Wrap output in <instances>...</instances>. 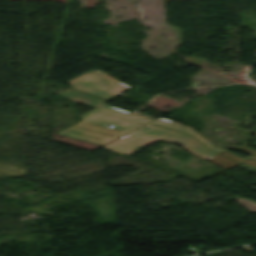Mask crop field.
Masks as SVG:
<instances>
[{"label":"crop field","instance_id":"1","mask_svg":"<svg viewBox=\"0 0 256 256\" xmlns=\"http://www.w3.org/2000/svg\"><path fill=\"white\" fill-rule=\"evenodd\" d=\"M80 118L82 121L103 127L112 124L114 125L111 127L112 129L126 133L152 121L106 104L80 116Z\"/></svg>","mask_w":256,"mask_h":256},{"label":"crop field","instance_id":"2","mask_svg":"<svg viewBox=\"0 0 256 256\" xmlns=\"http://www.w3.org/2000/svg\"><path fill=\"white\" fill-rule=\"evenodd\" d=\"M133 132L140 135L177 143L183 146L184 148H186L187 150H189L190 152H192L194 155H196L199 158L206 159L210 156L215 155L213 152L208 150L206 147L200 144L193 137L186 134L178 133L175 131H171L168 129L160 128V127L149 125V124Z\"/></svg>","mask_w":256,"mask_h":256},{"label":"crop field","instance_id":"3","mask_svg":"<svg viewBox=\"0 0 256 256\" xmlns=\"http://www.w3.org/2000/svg\"><path fill=\"white\" fill-rule=\"evenodd\" d=\"M57 133L85 140L91 143L103 145L113 139H116L126 133L107 129L79 121Z\"/></svg>","mask_w":256,"mask_h":256},{"label":"crop field","instance_id":"4","mask_svg":"<svg viewBox=\"0 0 256 256\" xmlns=\"http://www.w3.org/2000/svg\"><path fill=\"white\" fill-rule=\"evenodd\" d=\"M157 139L140 136L129 132L128 134L102 146L115 152L122 154H130L142 147L147 143H153ZM146 146V145H145Z\"/></svg>","mask_w":256,"mask_h":256},{"label":"crop field","instance_id":"5","mask_svg":"<svg viewBox=\"0 0 256 256\" xmlns=\"http://www.w3.org/2000/svg\"><path fill=\"white\" fill-rule=\"evenodd\" d=\"M150 123L156 124V125H160L163 127H167V128H171L174 130H178V131H182V132H186L189 134H192L194 137H196L198 140H200L201 142H203L205 145H207L209 148L215 150L217 153L225 150V149H221L218 147H215L214 145L210 144L208 141H206L204 138H202L193 128L176 123L174 121L171 120H167V119H162L159 118L155 121H152Z\"/></svg>","mask_w":256,"mask_h":256},{"label":"crop field","instance_id":"6","mask_svg":"<svg viewBox=\"0 0 256 256\" xmlns=\"http://www.w3.org/2000/svg\"><path fill=\"white\" fill-rule=\"evenodd\" d=\"M56 94L74 99L76 101H79V102H82V103H85V104H88V105H91L94 107L107 101V100L97 98V97H94V96H91V95H88V94H85V93H82V92H79V91H76V90H73L70 88H67L63 91L56 93Z\"/></svg>","mask_w":256,"mask_h":256}]
</instances>
